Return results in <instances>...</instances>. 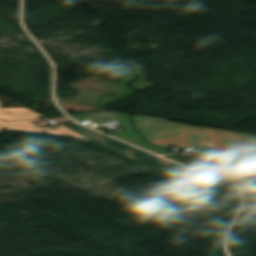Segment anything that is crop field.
I'll return each mask as SVG.
<instances>
[{
  "label": "crop field",
  "mask_w": 256,
  "mask_h": 256,
  "mask_svg": "<svg viewBox=\"0 0 256 256\" xmlns=\"http://www.w3.org/2000/svg\"><path fill=\"white\" fill-rule=\"evenodd\" d=\"M60 124H66V123H72V121L67 118V117H62V118H55V119H52Z\"/></svg>",
  "instance_id": "dd49c442"
},
{
  "label": "crop field",
  "mask_w": 256,
  "mask_h": 256,
  "mask_svg": "<svg viewBox=\"0 0 256 256\" xmlns=\"http://www.w3.org/2000/svg\"><path fill=\"white\" fill-rule=\"evenodd\" d=\"M5 121H0V128L4 127Z\"/></svg>",
  "instance_id": "d8731c3e"
},
{
  "label": "crop field",
  "mask_w": 256,
  "mask_h": 256,
  "mask_svg": "<svg viewBox=\"0 0 256 256\" xmlns=\"http://www.w3.org/2000/svg\"><path fill=\"white\" fill-rule=\"evenodd\" d=\"M37 121L39 120L10 122V123H6L5 127L11 130L30 131V132H39V133L45 132L49 134L72 136V137L88 140L87 138L77 134L76 132L64 126L59 127L55 130H50L48 128H35L33 126V123Z\"/></svg>",
  "instance_id": "412701ff"
},
{
  "label": "crop field",
  "mask_w": 256,
  "mask_h": 256,
  "mask_svg": "<svg viewBox=\"0 0 256 256\" xmlns=\"http://www.w3.org/2000/svg\"><path fill=\"white\" fill-rule=\"evenodd\" d=\"M164 157H167V158H170V159H173V160H182V159L176 158V157L173 156V155L164 156ZM182 161H185V162H188V163H192V164L198 165L197 163H194V162H192V161H187V160H182Z\"/></svg>",
  "instance_id": "e52e79f7"
},
{
  "label": "crop field",
  "mask_w": 256,
  "mask_h": 256,
  "mask_svg": "<svg viewBox=\"0 0 256 256\" xmlns=\"http://www.w3.org/2000/svg\"><path fill=\"white\" fill-rule=\"evenodd\" d=\"M134 122L137 130L157 147H192L204 153L199 159L232 165L256 175V136L212 128H194L139 115H135ZM221 156L229 158L226 161L219 160Z\"/></svg>",
  "instance_id": "8a807250"
},
{
  "label": "crop field",
  "mask_w": 256,
  "mask_h": 256,
  "mask_svg": "<svg viewBox=\"0 0 256 256\" xmlns=\"http://www.w3.org/2000/svg\"><path fill=\"white\" fill-rule=\"evenodd\" d=\"M66 127L89 138L93 142H97L136 161L150 165L158 172L161 179L186 192L200 190L201 187L199 180L208 176V173L159 159L160 157L157 158L137 148L101 135L78 124L66 125Z\"/></svg>",
  "instance_id": "ac0d7876"
},
{
  "label": "crop field",
  "mask_w": 256,
  "mask_h": 256,
  "mask_svg": "<svg viewBox=\"0 0 256 256\" xmlns=\"http://www.w3.org/2000/svg\"><path fill=\"white\" fill-rule=\"evenodd\" d=\"M81 115L84 117H87L99 124L118 120L123 125L124 130H122L112 136L122 139L124 141H127L129 143H132L136 146H139L141 148H144V149L154 152L156 154H169L170 153L166 150L147 145L142 140L141 136L132 129V124L130 122L131 119L127 115H124L119 112L86 113V114H81Z\"/></svg>",
  "instance_id": "34b2d1b8"
},
{
  "label": "crop field",
  "mask_w": 256,
  "mask_h": 256,
  "mask_svg": "<svg viewBox=\"0 0 256 256\" xmlns=\"http://www.w3.org/2000/svg\"><path fill=\"white\" fill-rule=\"evenodd\" d=\"M38 118L43 117L29 108H1L0 106V119L6 121Z\"/></svg>",
  "instance_id": "f4fd0767"
}]
</instances>
